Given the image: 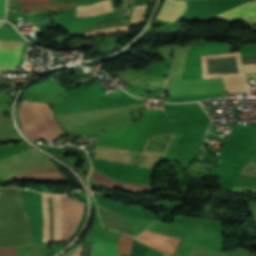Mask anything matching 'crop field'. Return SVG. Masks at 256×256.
I'll return each instance as SVG.
<instances>
[{"label":"crop field","instance_id":"8a807250","mask_svg":"<svg viewBox=\"0 0 256 256\" xmlns=\"http://www.w3.org/2000/svg\"><path fill=\"white\" fill-rule=\"evenodd\" d=\"M31 234L20 190L0 189V237ZM33 243L31 235L0 238V247Z\"/></svg>","mask_w":256,"mask_h":256},{"label":"crop field","instance_id":"ac0d7876","mask_svg":"<svg viewBox=\"0 0 256 256\" xmlns=\"http://www.w3.org/2000/svg\"><path fill=\"white\" fill-rule=\"evenodd\" d=\"M84 203L62 195L59 241H67L82 216Z\"/></svg>","mask_w":256,"mask_h":256},{"label":"crop field","instance_id":"34b2d1b8","mask_svg":"<svg viewBox=\"0 0 256 256\" xmlns=\"http://www.w3.org/2000/svg\"><path fill=\"white\" fill-rule=\"evenodd\" d=\"M96 151V148H95ZM137 153V152H136ZM146 155L147 153H140ZM127 152L126 150L97 146L96 157L98 159L138 165L146 168L152 167L158 155L148 154L147 156Z\"/></svg>","mask_w":256,"mask_h":256},{"label":"crop field","instance_id":"412701ff","mask_svg":"<svg viewBox=\"0 0 256 256\" xmlns=\"http://www.w3.org/2000/svg\"><path fill=\"white\" fill-rule=\"evenodd\" d=\"M135 239L143 242L144 244L158 249L164 253L171 255L173 249L175 248L176 244L178 243L179 239L161 235L156 232L145 230L141 235L135 237ZM184 240L180 239L179 243L177 244L176 248L174 249L172 256H175L178 250L180 249L181 245L183 244Z\"/></svg>","mask_w":256,"mask_h":256},{"label":"crop field","instance_id":"f4fd0767","mask_svg":"<svg viewBox=\"0 0 256 256\" xmlns=\"http://www.w3.org/2000/svg\"><path fill=\"white\" fill-rule=\"evenodd\" d=\"M23 42L0 40V70L15 71Z\"/></svg>","mask_w":256,"mask_h":256},{"label":"crop field","instance_id":"dd49c442","mask_svg":"<svg viewBox=\"0 0 256 256\" xmlns=\"http://www.w3.org/2000/svg\"><path fill=\"white\" fill-rule=\"evenodd\" d=\"M99 207V214L103 221V225L106 228H111L114 230H121L122 232L127 233L128 235L132 236V231L130 226L125 222L119 212L109 209L107 207L101 206L98 204Z\"/></svg>","mask_w":256,"mask_h":256},{"label":"crop field","instance_id":"e52e79f7","mask_svg":"<svg viewBox=\"0 0 256 256\" xmlns=\"http://www.w3.org/2000/svg\"><path fill=\"white\" fill-rule=\"evenodd\" d=\"M10 178L67 182V177L56 166L28 171Z\"/></svg>","mask_w":256,"mask_h":256},{"label":"crop field","instance_id":"d8731c3e","mask_svg":"<svg viewBox=\"0 0 256 256\" xmlns=\"http://www.w3.org/2000/svg\"><path fill=\"white\" fill-rule=\"evenodd\" d=\"M11 1L50 2L51 0H11ZM69 8H75V5L72 3L46 4V3L19 2V11H50V10L69 9Z\"/></svg>","mask_w":256,"mask_h":256},{"label":"crop field","instance_id":"5a996713","mask_svg":"<svg viewBox=\"0 0 256 256\" xmlns=\"http://www.w3.org/2000/svg\"><path fill=\"white\" fill-rule=\"evenodd\" d=\"M236 8L252 11L256 13V3L250 0H243L241 3H239ZM234 8L229 14H227L226 17H235L237 19H241L251 25L256 23V14L240 9ZM223 18V19H224Z\"/></svg>","mask_w":256,"mask_h":256},{"label":"crop field","instance_id":"3316defc","mask_svg":"<svg viewBox=\"0 0 256 256\" xmlns=\"http://www.w3.org/2000/svg\"><path fill=\"white\" fill-rule=\"evenodd\" d=\"M186 8V3L178 0H166L161 13L157 18L167 19L174 21L176 18L182 16Z\"/></svg>","mask_w":256,"mask_h":256},{"label":"crop field","instance_id":"28ad6ade","mask_svg":"<svg viewBox=\"0 0 256 256\" xmlns=\"http://www.w3.org/2000/svg\"><path fill=\"white\" fill-rule=\"evenodd\" d=\"M117 243H93L91 256H120L115 254Z\"/></svg>","mask_w":256,"mask_h":256},{"label":"crop field","instance_id":"d1516ede","mask_svg":"<svg viewBox=\"0 0 256 256\" xmlns=\"http://www.w3.org/2000/svg\"><path fill=\"white\" fill-rule=\"evenodd\" d=\"M223 81L227 92H247L244 78H224Z\"/></svg>","mask_w":256,"mask_h":256},{"label":"crop field","instance_id":"22f410ed","mask_svg":"<svg viewBox=\"0 0 256 256\" xmlns=\"http://www.w3.org/2000/svg\"><path fill=\"white\" fill-rule=\"evenodd\" d=\"M132 241V238L120 233L116 253L130 256Z\"/></svg>","mask_w":256,"mask_h":256},{"label":"crop field","instance_id":"cbeb9de0","mask_svg":"<svg viewBox=\"0 0 256 256\" xmlns=\"http://www.w3.org/2000/svg\"><path fill=\"white\" fill-rule=\"evenodd\" d=\"M242 64H256V57L242 58ZM245 73H256V65H243ZM247 79L256 78V74H246Z\"/></svg>","mask_w":256,"mask_h":256},{"label":"crop field","instance_id":"5142ce71","mask_svg":"<svg viewBox=\"0 0 256 256\" xmlns=\"http://www.w3.org/2000/svg\"><path fill=\"white\" fill-rule=\"evenodd\" d=\"M17 247L0 248V256H16Z\"/></svg>","mask_w":256,"mask_h":256},{"label":"crop field","instance_id":"d9b57169","mask_svg":"<svg viewBox=\"0 0 256 256\" xmlns=\"http://www.w3.org/2000/svg\"><path fill=\"white\" fill-rule=\"evenodd\" d=\"M92 243H83L82 255L90 256Z\"/></svg>","mask_w":256,"mask_h":256},{"label":"crop field","instance_id":"733c2abd","mask_svg":"<svg viewBox=\"0 0 256 256\" xmlns=\"http://www.w3.org/2000/svg\"><path fill=\"white\" fill-rule=\"evenodd\" d=\"M4 2H5V0H0V19H3V14H4Z\"/></svg>","mask_w":256,"mask_h":256},{"label":"crop field","instance_id":"4a817a6b","mask_svg":"<svg viewBox=\"0 0 256 256\" xmlns=\"http://www.w3.org/2000/svg\"><path fill=\"white\" fill-rule=\"evenodd\" d=\"M2 21H0V23H1Z\"/></svg>","mask_w":256,"mask_h":256},{"label":"crop field","instance_id":"bc2a9ffb","mask_svg":"<svg viewBox=\"0 0 256 256\" xmlns=\"http://www.w3.org/2000/svg\"><path fill=\"white\" fill-rule=\"evenodd\" d=\"M163 256H165V255H163Z\"/></svg>","mask_w":256,"mask_h":256},{"label":"crop field","instance_id":"214f88e0","mask_svg":"<svg viewBox=\"0 0 256 256\" xmlns=\"http://www.w3.org/2000/svg\"><path fill=\"white\" fill-rule=\"evenodd\" d=\"M1 122V121H0Z\"/></svg>","mask_w":256,"mask_h":256}]
</instances>
